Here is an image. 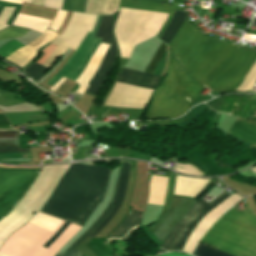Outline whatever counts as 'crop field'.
Returning a JSON list of instances; mask_svg holds the SVG:
<instances>
[{"label": "crop field", "instance_id": "crop-field-7", "mask_svg": "<svg viewBox=\"0 0 256 256\" xmlns=\"http://www.w3.org/2000/svg\"><path fill=\"white\" fill-rule=\"evenodd\" d=\"M256 61V51L238 46L230 61L205 85L212 91H229L239 85Z\"/></svg>", "mask_w": 256, "mask_h": 256}, {"label": "crop field", "instance_id": "crop-field-11", "mask_svg": "<svg viewBox=\"0 0 256 256\" xmlns=\"http://www.w3.org/2000/svg\"><path fill=\"white\" fill-rule=\"evenodd\" d=\"M240 199L239 196L233 194L228 197L222 204L218 205L210 212H208L195 226V229L191 233L188 241L186 242L183 251L191 253L192 249L196 245L197 241L203 235V233L209 228V226L221 215L223 214L228 208H230L233 204L238 202Z\"/></svg>", "mask_w": 256, "mask_h": 256}, {"label": "crop field", "instance_id": "crop-field-44", "mask_svg": "<svg viewBox=\"0 0 256 256\" xmlns=\"http://www.w3.org/2000/svg\"><path fill=\"white\" fill-rule=\"evenodd\" d=\"M256 147V146H255Z\"/></svg>", "mask_w": 256, "mask_h": 256}, {"label": "crop field", "instance_id": "crop-field-21", "mask_svg": "<svg viewBox=\"0 0 256 256\" xmlns=\"http://www.w3.org/2000/svg\"><path fill=\"white\" fill-rule=\"evenodd\" d=\"M49 23L50 20L18 14L12 25L33 29L41 33L48 27Z\"/></svg>", "mask_w": 256, "mask_h": 256}, {"label": "crop field", "instance_id": "crop-field-31", "mask_svg": "<svg viewBox=\"0 0 256 256\" xmlns=\"http://www.w3.org/2000/svg\"><path fill=\"white\" fill-rule=\"evenodd\" d=\"M68 225L69 223L65 222L63 226L43 245V247L47 248L52 242H54Z\"/></svg>", "mask_w": 256, "mask_h": 256}, {"label": "crop field", "instance_id": "crop-field-43", "mask_svg": "<svg viewBox=\"0 0 256 256\" xmlns=\"http://www.w3.org/2000/svg\"><path fill=\"white\" fill-rule=\"evenodd\" d=\"M3 10V7L0 8V12Z\"/></svg>", "mask_w": 256, "mask_h": 256}, {"label": "crop field", "instance_id": "crop-field-37", "mask_svg": "<svg viewBox=\"0 0 256 256\" xmlns=\"http://www.w3.org/2000/svg\"><path fill=\"white\" fill-rule=\"evenodd\" d=\"M65 80V78H61L52 88L51 90L55 91L59 86L60 84Z\"/></svg>", "mask_w": 256, "mask_h": 256}, {"label": "crop field", "instance_id": "crop-field-26", "mask_svg": "<svg viewBox=\"0 0 256 256\" xmlns=\"http://www.w3.org/2000/svg\"><path fill=\"white\" fill-rule=\"evenodd\" d=\"M256 81V65L253 67V69L250 71V73L247 75L244 82L236 89L241 91H249L253 84Z\"/></svg>", "mask_w": 256, "mask_h": 256}, {"label": "crop field", "instance_id": "crop-field-19", "mask_svg": "<svg viewBox=\"0 0 256 256\" xmlns=\"http://www.w3.org/2000/svg\"><path fill=\"white\" fill-rule=\"evenodd\" d=\"M228 133L252 144H256V125L241 122L236 119Z\"/></svg>", "mask_w": 256, "mask_h": 256}, {"label": "crop field", "instance_id": "crop-field-30", "mask_svg": "<svg viewBox=\"0 0 256 256\" xmlns=\"http://www.w3.org/2000/svg\"><path fill=\"white\" fill-rule=\"evenodd\" d=\"M67 11H57V14L52 22V24L49 26L50 29H53L57 32V30L60 28L62 21L65 17Z\"/></svg>", "mask_w": 256, "mask_h": 256}, {"label": "crop field", "instance_id": "crop-field-33", "mask_svg": "<svg viewBox=\"0 0 256 256\" xmlns=\"http://www.w3.org/2000/svg\"><path fill=\"white\" fill-rule=\"evenodd\" d=\"M13 10L14 8H4V10L0 14V22L6 24Z\"/></svg>", "mask_w": 256, "mask_h": 256}, {"label": "crop field", "instance_id": "crop-field-18", "mask_svg": "<svg viewBox=\"0 0 256 256\" xmlns=\"http://www.w3.org/2000/svg\"><path fill=\"white\" fill-rule=\"evenodd\" d=\"M119 0H87L85 13L112 15L118 11Z\"/></svg>", "mask_w": 256, "mask_h": 256}, {"label": "crop field", "instance_id": "crop-field-25", "mask_svg": "<svg viewBox=\"0 0 256 256\" xmlns=\"http://www.w3.org/2000/svg\"><path fill=\"white\" fill-rule=\"evenodd\" d=\"M193 254L196 256H230L200 243H198Z\"/></svg>", "mask_w": 256, "mask_h": 256}, {"label": "crop field", "instance_id": "crop-field-39", "mask_svg": "<svg viewBox=\"0 0 256 256\" xmlns=\"http://www.w3.org/2000/svg\"><path fill=\"white\" fill-rule=\"evenodd\" d=\"M43 2H44V0H33L32 1L33 4L41 5V6H43Z\"/></svg>", "mask_w": 256, "mask_h": 256}, {"label": "crop field", "instance_id": "crop-field-15", "mask_svg": "<svg viewBox=\"0 0 256 256\" xmlns=\"http://www.w3.org/2000/svg\"><path fill=\"white\" fill-rule=\"evenodd\" d=\"M129 168H130V165L128 163L123 162V164H122V174H121V177L119 179V183H118V187H117V191H116L114 201L112 203L115 206H114L112 212L110 213V215L104 220V222L99 227H97L89 235V237L93 238L111 220V218L114 216V214L116 213V211L120 207V205L123 201V197H124V193H125V189H126V185H127V181H128Z\"/></svg>", "mask_w": 256, "mask_h": 256}, {"label": "crop field", "instance_id": "crop-field-28", "mask_svg": "<svg viewBox=\"0 0 256 256\" xmlns=\"http://www.w3.org/2000/svg\"><path fill=\"white\" fill-rule=\"evenodd\" d=\"M26 32H28L27 29L10 27L0 33V39L21 37Z\"/></svg>", "mask_w": 256, "mask_h": 256}, {"label": "crop field", "instance_id": "crop-field-23", "mask_svg": "<svg viewBox=\"0 0 256 256\" xmlns=\"http://www.w3.org/2000/svg\"><path fill=\"white\" fill-rule=\"evenodd\" d=\"M61 220L37 212L30 223L43 227L51 232L59 225Z\"/></svg>", "mask_w": 256, "mask_h": 256}, {"label": "crop field", "instance_id": "crop-field-32", "mask_svg": "<svg viewBox=\"0 0 256 256\" xmlns=\"http://www.w3.org/2000/svg\"><path fill=\"white\" fill-rule=\"evenodd\" d=\"M44 6L61 10L62 0H45Z\"/></svg>", "mask_w": 256, "mask_h": 256}, {"label": "crop field", "instance_id": "crop-field-38", "mask_svg": "<svg viewBox=\"0 0 256 256\" xmlns=\"http://www.w3.org/2000/svg\"><path fill=\"white\" fill-rule=\"evenodd\" d=\"M6 1L13 2V3H16V4H20V5H21V3H22V2L16 1V0H6ZM21 1H25V2L31 3V0H21Z\"/></svg>", "mask_w": 256, "mask_h": 256}, {"label": "crop field", "instance_id": "crop-field-35", "mask_svg": "<svg viewBox=\"0 0 256 256\" xmlns=\"http://www.w3.org/2000/svg\"><path fill=\"white\" fill-rule=\"evenodd\" d=\"M54 256H79V254L76 252L75 249H73L71 251L60 253V254H56Z\"/></svg>", "mask_w": 256, "mask_h": 256}, {"label": "crop field", "instance_id": "crop-field-22", "mask_svg": "<svg viewBox=\"0 0 256 256\" xmlns=\"http://www.w3.org/2000/svg\"><path fill=\"white\" fill-rule=\"evenodd\" d=\"M187 12H178L176 11L174 14L173 19L171 22L168 24L165 32L161 36V40L165 43H169L173 35L177 32L181 24L183 23L185 16Z\"/></svg>", "mask_w": 256, "mask_h": 256}, {"label": "crop field", "instance_id": "crop-field-40", "mask_svg": "<svg viewBox=\"0 0 256 256\" xmlns=\"http://www.w3.org/2000/svg\"><path fill=\"white\" fill-rule=\"evenodd\" d=\"M8 25L0 24V30L7 27Z\"/></svg>", "mask_w": 256, "mask_h": 256}, {"label": "crop field", "instance_id": "crop-field-3", "mask_svg": "<svg viewBox=\"0 0 256 256\" xmlns=\"http://www.w3.org/2000/svg\"><path fill=\"white\" fill-rule=\"evenodd\" d=\"M168 46L185 71L203 85L236 48V45L200 34L187 19Z\"/></svg>", "mask_w": 256, "mask_h": 256}, {"label": "crop field", "instance_id": "crop-field-5", "mask_svg": "<svg viewBox=\"0 0 256 256\" xmlns=\"http://www.w3.org/2000/svg\"><path fill=\"white\" fill-rule=\"evenodd\" d=\"M204 89L194 83L170 56L166 77L157 90L145 117H179L193 105Z\"/></svg>", "mask_w": 256, "mask_h": 256}, {"label": "crop field", "instance_id": "crop-field-27", "mask_svg": "<svg viewBox=\"0 0 256 256\" xmlns=\"http://www.w3.org/2000/svg\"><path fill=\"white\" fill-rule=\"evenodd\" d=\"M165 49L166 48H165L164 44L162 43L161 46L158 48L156 54L154 55V57L152 58V60L148 64V66L145 70L146 73H150V74L153 73V71L155 70L158 62L160 61Z\"/></svg>", "mask_w": 256, "mask_h": 256}, {"label": "crop field", "instance_id": "crop-field-4", "mask_svg": "<svg viewBox=\"0 0 256 256\" xmlns=\"http://www.w3.org/2000/svg\"><path fill=\"white\" fill-rule=\"evenodd\" d=\"M201 242L232 256H256V217L248 208H235L223 214L204 235Z\"/></svg>", "mask_w": 256, "mask_h": 256}, {"label": "crop field", "instance_id": "crop-field-34", "mask_svg": "<svg viewBox=\"0 0 256 256\" xmlns=\"http://www.w3.org/2000/svg\"><path fill=\"white\" fill-rule=\"evenodd\" d=\"M84 148H78V153L75 155H71L72 160H79V159H84L85 155H83L84 153ZM76 153V152H75ZM74 154V153H73Z\"/></svg>", "mask_w": 256, "mask_h": 256}, {"label": "crop field", "instance_id": "crop-field-2", "mask_svg": "<svg viewBox=\"0 0 256 256\" xmlns=\"http://www.w3.org/2000/svg\"><path fill=\"white\" fill-rule=\"evenodd\" d=\"M111 170L71 164L41 212L81 225L103 199Z\"/></svg>", "mask_w": 256, "mask_h": 256}, {"label": "crop field", "instance_id": "crop-field-41", "mask_svg": "<svg viewBox=\"0 0 256 256\" xmlns=\"http://www.w3.org/2000/svg\"><path fill=\"white\" fill-rule=\"evenodd\" d=\"M250 170L256 174V167Z\"/></svg>", "mask_w": 256, "mask_h": 256}, {"label": "crop field", "instance_id": "crop-field-17", "mask_svg": "<svg viewBox=\"0 0 256 256\" xmlns=\"http://www.w3.org/2000/svg\"><path fill=\"white\" fill-rule=\"evenodd\" d=\"M206 182L207 180L177 176L174 194L194 197Z\"/></svg>", "mask_w": 256, "mask_h": 256}, {"label": "crop field", "instance_id": "crop-field-29", "mask_svg": "<svg viewBox=\"0 0 256 256\" xmlns=\"http://www.w3.org/2000/svg\"><path fill=\"white\" fill-rule=\"evenodd\" d=\"M175 170L180 171L182 173L190 174V175H196V176L204 175L201 171H199L197 168H195L192 165L176 163Z\"/></svg>", "mask_w": 256, "mask_h": 256}, {"label": "crop field", "instance_id": "crop-field-13", "mask_svg": "<svg viewBox=\"0 0 256 256\" xmlns=\"http://www.w3.org/2000/svg\"><path fill=\"white\" fill-rule=\"evenodd\" d=\"M120 7L122 8H131V9H138V10H151V11H162L170 13L169 17L165 21L164 25L160 29L159 33L156 37L159 38L163 30L165 29L166 25L170 22L175 10L181 11L182 7L177 6H170L164 4H155L144 2L140 0H121Z\"/></svg>", "mask_w": 256, "mask_h": 256}, {"label": "crop field", "instance_id": "crop-field-42", "mask_svg": "<svg viewBox=\"0 0 256 256\" xmlns=\"http://www.w3.org/2000/svg\"><path fill=\"white\" fill-rule=\"evenodd\" d=\"M0 256H8V255H5V254L0 253Z\"/></svg>", "mask_w": 256, "mask_h": 256}, {"label": "crop field", "instance_id": "crop-field-8", "mask_svg": "<svg viewBox=\"0 0 256 256\" xmlns=\"http://www.w3.org/2000/svg\"><path fill=\"white\" fill-rule=\"evenodd\" d=\"M230 194L223 191L212 203L208 204L203 200H199L175 225L171 233L166 237L161 249L165 251L181 250L191 231L197 222L212 208L222 203ZM199 223V222H198Z\"/></svg>", "mask_w": 256, "mask_h": 256}, {"label": "crop field", "instance_id": "crop-field-20", "mask_svg": "<svg viewBox=\"0 0 256 256\" xmlns=\"http://www.w3.org/2000/svg\"><path fill=\"white\" fill-rule=\"evenodd\" d=\"M160 77L129 69H122L117 81L156 85Z\"/></svg>", "mask_w": 256, "mask_h": 256}, {"label": "crop field", "instance_id": "crop-field-6", "mask_svg": "<svg viewBox=\"0 0 256 256\" xmlns=\"http://www.w3.org/2000/svg\"><path fill=\"white\" fill-rule=\"evenodd\" d=\"M96 16L97 15L73 12L64 32L60 36L58 35L53 43L76 50L77 46L87 32L91 31L95 23ZM61 46H58L41 65L49 68L50 65L67 50ZM42 66L34 62L32 65L26 68L24 72L32 77V79H36L38 81L47 70V68Z\"/></svg>", "mask_w": 256, "mask_h": 256}, {"label": "crop field", "instance_id": "crop-field-24", "mask_svg": "<svg viewBox=\"0 0 256 256\" xmlns=\"http://www.w3.org/2000/svg\"><path fill=\"white\" fill-rule=\"evenodd\" d=\"M121 174V168H120V173L118 175V179H119V176ZM118 179H117V182H118ZM116 186H117V183H116ZM115 190H116V187H115ZM114 194H115V191H114ZM113 198H114V195H113ZM112 198V200H113ZM112 200L109 204V206L106 208V210L97 218V220L92 224V226L87 230L85 231L68 249H66L65 251L71 249V248H75L80 242H82L107 216L108 214L111 212L112 208H113V205H111L112 203Z\"/></svg>", "mask_w": 256, "mask_h": 256}, {"label": "crop field", "instance_id": "crop-field-16", "mask_svg": "<svg viewBox=\"0 0 256 256\" xmlns=\"http://www.w3.org/2000/svg\"><path fill=\"white\" fill-rule=\"evenodd\" d=\"M142 214L141 212L130 210L123 223L103 243H109L114 239L125 240L140 223Z\"/></svg>", "mask_w": 256, "mask_h": 256}, {"label": "crop field", "instance_id": "crop-field-10", "mask_svg": "<svg viewBox=\"0 0 256 256\" xmlns=\"http://www.w3.org/2000/svg\"><path fill=\"white\" fill-rule=\"evenodd\" d=\"M114 16H102L100 27L97 30L95 37L103 39L101 42L111 45L105 54L101 66L93 78L89 82V87L87 92L96 94L99 86L104 80L116 54H117V46L115 40L113 38L111 29L113 25Z\"/></svg>", "mask_w": 256, "mask_h": 256}, {"label": "crop field", "instance_id": "crop-field-1", "mask_svg": "<svg viewBox=\"0 0 256 256\" xmlns=\"http://www.w3.org/2000/svg\"><path fill=\"white\" fill-rule=\"evenodd\" d=\"M67 165L38 169L0 168V246L7 237L22 226L45 202Z\"/></svg>", "mask_w": 256, "mask_h": 256}, {"label": "crop field", "instance_id": "crop-field-36", "mask_svg": "<svg viewBox=\"0 0 256 256\" xmlns=\"http://www.w3.org/2000/svg\"><path fill=\"white\" fill-rule=\"evenodd\" d=\"M19 9L15 8L14 12L12 13L10 19L8 20L7 24L11 25L12 21L14 20V18L16 17L17 13H18Z\"/></svg>", "mask_w": 256, "mask_h": 256}, {"label": "crop field", "instance_id": "crop-field-9", "mask_svg": "<svg viewBox=\"0 0 256 256\" xmlns=\"http://www.w3.org/2000/svg\"><path fill=\"white\" fill-rule=\"evenodd\" d=\"M100 18L101 16L97 17V21L92 32H88L75 53L63 66V68L47 82V84L53 86L62 76L74 81L75 78L80 74L101 41V39L93 37L99 26Z\"/></svg>", "mask_w": 256, "mask_h": 256}, {"label": "crop field", "instance_id": "crop-field-14", "mask_svg": "<svg viewBox=\"0 0 256 256\" xmlns=\"http://www.w3.org/2000/svg\"><path fill=\"white\" fill-rule=\"evenodd\" d=\"M108 46L100 44L97 51L89 61L88 65L84 69V71L80 74V76L77 78L76 82L79 83L80 87L76 91V93H79L83 95V93L86 91L88 87V81L91 79V77L94 75V73L97 71V69L100 66L101 60L107 50Z\"/></svg>", "mask_w": 256, "mask_h": 256}, {"label": "crop field", "instance_id": "crop-field-12", "mask_svg": "<svg viewBox=\"0 0 256 256\" xmlns=\"http://www.w3.org/2000/svg\"><path fill=\"white\" fill-rule=\"evenodd\" d=\"M56 33L46 29L42 34H40L35 40L28 43L24 47L19 50L13 52L7 57L3 58L14 65L22 68L25 64H27L31 59L36 57V51L42 47L47 42L51 41L56 37Z\"/></svg>", "mask_w": 256, "mask_h": 256}]
</instances>
